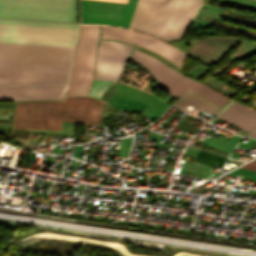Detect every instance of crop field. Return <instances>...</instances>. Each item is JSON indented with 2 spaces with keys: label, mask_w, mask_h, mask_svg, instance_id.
<instances>
[{
  "label": "crop field",
  "mask_w": 256,
  "mask_h": 256,
  "mask_svg": "<svg viewBox=\"0 0 256 256\" xmlns=\"http://www.w3.org/2000/svg\"><path fill=\"white\" fill-rule=\"evenodd\" d=\"M99 28L100 25H81L75 59L72 67L70 86L64 95L86 94L94 68ZM103 30L116 31L142 37L170 48L181 57H185L183 53L156 37L148 36L125 28L106 25H103ZM106 31H103L102 37L124 40L147 47L158 52L176 65H181L183 58L163 46L132 35ZM239 40L240 38L235 37H211L203 40H196L187 53L204 62L214 64L221 60ZM131 47L132 45L122 42L107 39L100 40L94 80L88 93L89 96L100 98L110 82L112 80L116 81L125 67ZM132 58L139 60L141 64L147 67L159 79L174 99L190 89L221 107L229 101V99L220 95L211 88L195 83L141 53L134 51Z\"/></svg>",
  "instance_id": "crop-field-1"
},
{
  "label": "crop field",
  "mask_w": 256,
  "mask_h": 256,
  "mask_svg": "<svg viewBox=\"0 0 256 256\" xmlns=\"http://www.w3.org/2000/svg\"><path fill=\"white\" fill-rule=\"evenodd\" d=\"M78 25L0 20V45L73 51ZM0 46V85L68 83L73 52Z\"/></svg>",
  "instance_id": "crop-field-2"
},
{
  "label": "crop field",
  "mask_w": 256,
  "mask_h": 256,
  "mask_svg": "<svg viewBox=\"0 0 256 256\" xmlns=\"http://www.w3.org/2000/svg\"><path fill=\"white\" fill-rule=\"evenodd\" d=\"M66 85L0 87V100L62 99ZM102 101L86 96L63 101L17 102L13 128L61 131V120L101 124Z\"/></svg>",
  "instance_id": "crop-field-3"
},
{
  "label": "crop field",
  "mask_w": 256,
  "mask_h": 256,
  "mask_svg": "<svg viewBox=\"0 0 256 256\" xmlns=\"http://www.w3.org/2000/svg\"><path fill=\"white\" fill-rule=\"evenodd\" d=\"M202 0H138L130 28L178 39L203 4Z\"/></svg>",
  "instance_id": "crop-field-4"
},
{
  "label": "crop field",
  "mask_w": 256,
  "mask_h": 256,
  "mask_svg": "<svg viewBox=\"0 0 256 256\" xmlns=\"http://www.w3.org/2000/svg\"><path fill=\"white\" fill-rule=\"evenodd\" d=\"M0 16L75 22V0H0Z\"/></svg>",
  "instance_id": "crop-field-5"
},
{
  "label": "crop field",
  "mask_w": 256,
  "mask_h": 256,
  "mask_svg": "<svg viewBox=\"0 0 256 256\" xmlns=\"http://www.w3.org/2000/svg\"><path fill=\"white\" fill-rule=\"evenodd\" d=\"M137 0L127 4L81 0V23L111 24L128 27Z\"/></svg>",
  "instance_id": "crop-field-6"
},
{
  "label": "crop field",
  "mask_w": 256,
  "mask_h": 256,
  "mask_svg": "<svg viewBox=\"0 0 256 256\" xmlns=\"http://www.w3.org/2000/svg\"><path fill=\"white\" fill-rule=\"evenodd\" d=\"M218 118L248 132L256 128V111L237 102H233Z\"/></svg>",
  "instance_id": "crop-field-7"
},
{
  "label": "crop field",
  "mask_w": 256,
  "mask_h": 256,
  "mask_svg": "<svg viewBox=\"0 0 256 256\" xmlns=\"http://www.w3.org/2000/svg\"><path fill=\"white\" fill-rule=\"evenodd\" d=\"M172 105L195 116L201 110L208 112L212 115L216 114L219 111L218 109L210 106L209 104L197 99L196 97L186 92L183 95H181Z\"/></svg>",
  "instance_id": "crop-field-8"
},
{
  "label": "crop field",
  "mask_w": 256,
  "mask_h": 256,
  "mask_svg": "<svg viewBox=\"0 0 256 256\" xmlns=\"http://www.w3.org/2000/svg\"><path fill=\"white\" fill-rule=\"evenodd\" d=\"M228 174L241 177V176L256 174V172L246 170V169H242V168H238V169H236V170H234V171H232Z\"/></svg>",
  "instance_id": "crop-field-9"
},
{
  "label": "crop field",
  "mask_w": 256,
  "mask_h": 256,
  "mask_svg": "<svg viewBox=\"0 0 256 256\" xmlns=\"http://www.w3.org/2000/svg\"><path fill=\"white\" fill-rule=\"evenodd\" d=\"M242 168L250 169L256 171V160L242 166Z\"/></svg>",
  "instance_id": "crop-field-10"
},
{
  "label": "crop field",
  "mask_w": 256,
  "mask_h": 256,
  "mask_svg": "<svg viewBox=\"0 0 256 256\" xmlns=\"http://www.w3.org/2000/svg\"><path fill=\"white\" fill-rule=\"evenodd\" d=\"M247 136H251V137L256 138V129L253 130L252 132H250L249 134H247Z\"/></svg>",
  "instance_id": "crop-field-11"
},
{
  "label": "crop field",
  "mask_w": 256,
  "mask_h": 256,
  "mask_svg": "<svg viewBox=\"0 0 256 256\" xmlns=\"http://www.w3.org/2000/svg\"><path fill=\"white\" fill-rule=\"evenodd\" d=\"M104 1H113V2H122V3L127 2V0H104Z\"/></svg>",
  "instance_id": "crop-field-12"
},
{
  "label": "crop field",
  "mask_w": 256,
  "mask_h": 256,
  "mask_svg": "<svg viewBox=\"0 0 256 256\" xmlns=\"http://www.w3.org/2000/svg\"><path fill=\"white\" fill-rule=\"evenodd\" d=\"M248 179H252V180H256V176H252V177H246Z\"/></svg>",
  "instance_id": "crop-field-13"
}]
</instances>
